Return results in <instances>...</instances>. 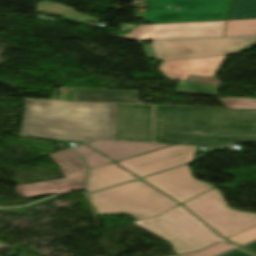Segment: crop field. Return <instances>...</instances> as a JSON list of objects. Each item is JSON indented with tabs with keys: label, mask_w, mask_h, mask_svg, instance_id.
<instances>
[{
	"label": "crop field",
	"mask_w": 256,
	"mask_h": 256,
	"mask_svg": "<svg viewBox=\"0 0 256 256\" xmlns=\"http://www.w3.org/2000/svg\"><path fill=\"white\" fill-rule=\"evenodd\" d=\"M116 104L25 100L20 136L75 142L116 140Z\"/></svg>",
	"instance_id": "crop-field-2"
},
{
	"label": "crop field",
	"mask_w": 256,
	"mask_h": 256,
	"mask_svg": "<svg viewBox=\"0 0 256 256\" xmlns=\"http://www.w3.org/2000/svg\"><path fill=\"white\" fill-rule=\"evenodd\" d=\"M256 18V0H234L228 19Z\"/></svg>",
	"instance_id": "crop-field-20"
},
{
	"label": "crop field",
	"mask_w": 256,
	"mask_h": 256,
	"mask_svg": "<svg viewBox=\"0 0 256 256\" xmlns=\"http://www.w3.org/2000/svg\"><path fill=\"white\" fill-rule=\"evenodd\" d=\"M73 100L139 103L138 92L76 88Z\"/></svg>",
	"instance_id": "crop-field-16"
},
{
	"label": "crop field",
	"mask_w": 256,
	"mask_h": 256,
	"mask_svg": "<svg viewBox=\"0 0 256 256\" xmlns=\"http://www.w3.org/2000/svg\"><path fill=\"white\" fill-rule=\"evenodd\" d=\"M89 196L98 215L145 210L156 216L178 205L140 179Z\"/></svg>",
	"instance_id": "crop-field-4"
},
{
	"label": "crop field",
	"mask_w": 256,
	"mask_h": 256,
	"mask_svg": "<svg viewBox=\"0 0 256 256\" xmlns=\"http://www.w3.org/2000/svg\"><path fill=\"white\" fill-rule=\"evenodd\" d=\"M129 214H131L132 216H134L137 220L154 217V216L151 215L149 212H144V211H140V212H130Z\"/></svg>",
	"instance_id": "crop-field-26"
},
{
	"label": "crop field",
	"mask_w": 256,
	"mask_h": 256,
	"mask_svg": "<svg viewBox=\"0 0 256 256\" xmlns=\"http://www.w3.org/2000/svg\"><path fill=\"white\" fill-rule=\"evenodd\" d=\"M195 148L196 146L174 145L117 163L140 177L192 161Z\"/></svg>",
	"instance_id": "crop-field-10"
},
{
	"label": "crop field",
	"mask_w": 256,
	"mask_h": 256,
	"mask_svg": "<svg viewBox=\"0 0 256 256\" xmlns=\"http://www.w3.org/2000/svg\"><path fill=\"white\" fill-rule=\"evenodd\" d=\"M143 179L180 203L214 187L195 180L187 165Z\"/></svg>",
	"instance_id": "crop-field-11"
},
{
	"label": "crop field",
	"mask_w": 256,
	"mask_h": 256,
	"mask_svg": "<svg viewBox=\"0 0 256 256\" xmlns=\"http://www.w3.org/2000/svg\"><path fill=\"white\" fill-rule=\"evenodd\" d=\"M73 148L84 156L90 169L111 162L110 160L97 153L85 144Z\"/></svg>",
	"instance_id": "crop-field-21"
},
{
	"label": "crop field",
	"mask_w": 256,
	"mask_h": 256,
	"mask_svg": "<svg viewBox=\"0 0 256 256\" xmlns=\"http://www.w3.org/2000/svg\"><path fill=\"white\" fill-rule=\"evenodd\" d=\"M5 247H6V246L0 244V250L3 249V248H5Z\"/></svg>",
	"instance_id": "crop-field-28"
},
{
	"label": "crop field",
	"mask_w": 256,
	"mask_h": 256,
	"mask_svg": "<svg viewBox=\"0 0 256 256\" xmlns=\"http://www.w3.org/2000/svg\"><path fill=\"white\" fill-rule=\"evenodd\" d=\"M239 246L234 245L226 240L221 241L217 244H214L208 248H205L201 251H198L196 253H190V254H182L178 256H219L227 251H230L232 249H235Z\"/></svg>",
	"instance_id": "crop-field-22"
},
{
	"label": "crop field",
	"mask_w": 256,
	"mask_h": 256,
	"mask_svg": "<svg viewBox=\"0 0 256 256\" xmlns=\"http://www.w3.org/2000/svg\"><path fill=\"white\" fill-rule=\"evenodd\" d=\"M133 223L171 243L177 254L195 252L223 240L180 205Z\"/></svg>",
	"instance_id": "crop-field-3"
},
{
	"label": "crop field",
	"mask_w": 256,
	"mask_h": 256,
	"mask_svg": "<svg viewBox=\"0 0 256 256\" xmlns=\"http://www.w3.org/2000/svg\"><path fill=\"white\" fill-rule=\"evenodd\" d=\"M233 0H147L149 7L175 6L176 9L149 8L144 22L152 24L227 20Z\"/></svg>",
	"instance_id": "crop-field-7"
},
{
	"label": "crop field",
	"mask_w": 256,
	"mask_h": 256,
	"mask_svg": "<svg viewBox=\"0 0 256 256\" xmlns=\"http://www.w3.org/2000/svg\"><path fill=\"white\" fill-rule=\"evenodd\" d=\"M245 247H247V248H249V249H251V250L256 251V242H254V243H252V244H249V245H247V246H245Z\"/></svg>",
	"instance_id": "crop-field-27"
},
{
	"label": "crop field",
	"mask_w": 256,
	"mask_h": 256,
	"mask_svg": "<svg viewBox=\"0 0 256 256\" xmlns=\"http://www.w3.org/2000/svg\"><path fill=\"white\" fill-rule=\"evenodd\" d=\"M183 205L225 239L256 226V214L231 210L215 188Z\"/></svg>",
	"instance_id": "crop-field-6"
},
{
	"label": "crop field",
	"mask_w": 256,
	"mask_h": 256,
	"mask_svg": "<svg viewBox=\"0 0 256 256\" xmlns=\"http://www.w3.org/2000/svg\"><path fill=\"white\" fill-rule=\"evenodd\" d=\"M49 156L62 169L66 179L17 186L19 195L29 198L84 190L87 168L80 155L68 149Z\"/></svg>",
	"instance_id": "crop-field-8"
},
{
	"label": "crop field",
	"mask_w": 256,
	"mask_h": 256,
	"mask_svg": "<svg viewBox=\"0 0 256 256\" xmlns=\"http://www.w3.org/2000/svg\"><path fill=\"white\" fill-rule=\"evenodd\" d=\"M143 48L149 60L168 61L202 56L235 54L256 45V37L151 41Z\"/></svg>",
	"instance_id": "crop-field-5"
},
{
	"label": "crop field",
	"mask_w": 256,
	"mask_h": 256,
	"mask_svg": "<svg viewBox=\"0 0 256 256\" xmlns=\"http://www.w3.org/2000/svg\"><path fill=\"white\" fill-rule=\"evenodd\" d=\"M174 256H176V255H174Z\"/></svg>",
	"instance_id": "crop-field-29"
},
{
	"label": "crop field",
	"mask_w": 256,
	"mask_h": 256,
	"mask_svg": "<svg viewBox=\"0 0 256 256\" xmlns=\"http://www.w3.org/2000/svg\"><path fill=\"white\" fill-rule=\"evenodd\" d=\"M256 35V19L228 21L224 37Z\"/></svg>",
	"instance_id": "crop-field-18"
},
{
	"label": "crop field",
	"mask_w": 256,
	"mask_h": 256,
	"mask_svg": "<svg viewBox=\"0 0 256 256\" xmlns=\"http://www.w3.org/2000/svg\"><path fill=\"white\" fill-rule=\"evenodd\" d=\"M117 140L152 142L153 106L117 104Z\"/></svg>",
	"instance_id": "crop-field-12"
},
{
	"label": "crop field",
	"mask_w": 256,
	"mask_h": 256,
	"mask_svg": "<svg viewBox=\"0 0 256 256\" xmlns=\"http://www.w3.org/2000/svg\"><path fill=\"white\" fill-rule=\"evenodd\" d=\"M227 55L168 61L159 69L169 80L185 81L189 74L213 77Z\"/></svg>",
	"instance_id": "crop-field-13"
},
{
	"label": "crop field",
	"mask_w": 256,
	"mask_h": 256,
	"mask_svg": "<svg viewBox=\"0 0 256 256\" xmlns=\"http://www.w3.org/2000/svg\"><path fill=\"white\" fill-rule=\"evenodd\" d=\"M224 256H256V254L242 248L232 253L226 254Z\"/></svg>",
	"instance_id": "crop-field-25"
},
{
	"label": "crop field",
	"mask_w": 256,
	"mask_h": 256,
	"mask_svg": "<svg viewBox=\"0 0 256 256\" xmlns=\"http://www.w3.org/2000/svg\"><path fill=\"white\" fill-rule=\"evenodd\" d=\"M256 142V110L154 106L153 142L222 147Z\"/></svg>",
	"instance_id": "crop-field-1"
},
{
	"label": "crop field",
	"mask_w": 256,
	"mask_h": 256,
	"mask_svg": "<svg viewBox=\"0 0 256 256\" xmlns=\"http://www.w3.org/2000/svg\"><path fill=\"white\" fill-rule=\"evenodd\" d=\"M233 243H236L240 246L247 244L253 240H256V227H253L245 232H242L236 236H233L227 239Z\"/></svg>",
	"instance_id": "crop-field-24"
},
{
	"label": "crop field",
	"mask_w": 256,
	"mask_h": 256,
	"mask_svg": "<svg viewBox=\"0 0 256 256\" xmlns=\"http://www.w3.org/2000/svg\"><path fill=\"white\" fill-rule=\"evenodd\" d=\"M86 144L90 145L114 161L169 146L168 144L158 143L108 140H96Z\"/></svg>",
	"instance_id": "crop-field-14"
},
{
	"label": "crop field",
	"mask_w": 256,
	"mask_h": 256,
	"mask_svg": "<svg viewBox=\"0 0 256 256\" xmlns=\"http://www.w3.org/2000/svg\"><path fill=\"white\" fill-rule=\"evenodd\" d=\"M219 86L179 81L175 93L216 96Z\"/></svg>",
	"instance_id": "crop-field-19"
},
{
	"label": "crop field",
	"mask_w": 256,
	"mask_h": 256,
	"mask_svg": "<svg viewBox=\"0 0 256 256\" xmlns=\"http://www.w3.org/2000/svg\"><path fill=\"white\" fill-rule=\"evenodd\" d=\"M36 11L57 14L56 16L76 19L75 21L82 23H84L86 20L99 21V19L76 13L66 6L48 1H43L39 3L37 5Z\"/></svg>",
	"instance_id": "crop-field-17"
},
{
	"label": "crop field",
	"mask_w": 256,
	"mask_h": 256,
	"mask_svg": "<svg viewBox=\"0 0 256 256\" xmlns=\"http://www.w3.org/2000/svg\"><path fill=\"white\" fill-rule=\"evenodd\" d=\"M227 21H208L174 23L161 25H137L130 34H125L129 39H163V38H207L223 37Z\"/></svg>",
	"instance_id": "crop-field-9"
},
{
	"label": "crop field",
	"mask_w": 256,
	"mask_h": 256,
	"mask_svg": "<svg viewBox=\"0 0 256 256\" xmlns=\"http://www.w3.org/2000/svg\"><path fill=\"white\" fill-rule=\"evenodd\" d=\"M227 108L256 109V100L248 99H225L220 100Z\"/></svg>",
	"instance_id": "crop-field-23"
},
{
	"label": "crop field",
	"mask_w": 256,
	"mask_h": 256,
	"mask_svg": "<svg viewBox=\"0 0 256 256\" xmlns=\"http://www.w3.org/2000/svg\"><path fill=\"white\" fill-rule=\"evenodd\" d=\"M135 178L137 177L114 163L91 169L87 192L101 190Z\"/></svg>",
	"instance_id": "crop-field-15"
}]
</instances>
